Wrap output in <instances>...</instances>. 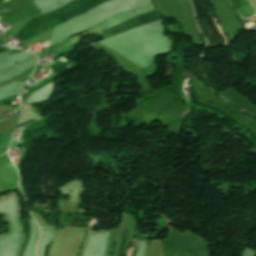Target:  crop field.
<instances>
[{"mask_svg": "<svg viewBox=\"0 0 256 256\" xmlns=\"http://www.w3.org/2000/svg\"><path fill=\"white\" fill-rule=\"evenodd\" d=\"M135 252H136V250H134V253H133V250H129L128 256H132V253H133V256H135Z\"/></svg>", "mask_w": 256, "mask_h": 256, "instance_id": "34b2d1b8", "label": "crop field"}, {"mask_svg": "<svg viewBox=\"0 0 256 256\" xmlns=\"http://www.w3.org/2000/svg\"><path fill=\"white\" fill-rule=\"evenodd\" d=\"M194 5H195L197 17L206 32V35L210 41V45L224 44V42L225 44H227V38L222 33L216 19L213 18L220 33L224 38V42L213 19L210 18L209 11H211V7H210L209 0H194Z\"/></svg>", "mask_w": 256, "mask_h": 256, "instance_id": "8a807250", "label": "crop field"}, {"mask_svg": "<svg viewBox=\"0 0 256 256\" xmlns=\"http://www.w3.org/2000/svg\"><path fill=\"white\" fill-rule=\"evenodd\" d=\"M126 235H127V232H123L118 256H122V255H123L124 246H125V240H126Z\"/></svg>", "mask_w": 256, "mask_h": 256, "instance_id": "ac0d7876", "label": "crop field"}]
</instances>
